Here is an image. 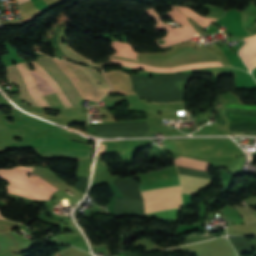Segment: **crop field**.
<instances>
[{"mask_svg":"<svg viewBox=\"0 0 256 256\" xmlns=\"http://www.w3.org/2000/svg\"><path fill=\"white\" fill-rule=\"evenodd\" d=\"M53 60L59 66V68L64 72V74L68 77V79L72 82V84L77 88L80 92L83 99H89L98 102L103 96L108 93L111 89L108 81L102 76L100 73L87 69L83 66H79L86 77L88 78L89 82L93 86L96 95L86 79L85 75L78 67V65L68 63L65 61ZM51 57H38L36 61L56 80V82L62 88L64 94L72 103V105H78L81 97L76 90V88L71 84V82L67 79V77L63 74V72L58 68V66L54 63ZM101 82L102 84L99 85L98 83Z\"/></svg>","mask_w":256,"mask_h":256,"instance_id":"crop-field-1","label":"crop field"},{"mask_svg":"<svg viewBox=\"0 0 256 256\" xmlns=\"http://www.w3.org/2000/svg\"><path fill=\"white\" fill-rule=\"evenodd\" d=\"M28 172H33V167H14L10 170H0V178L9 181V186L6 187L10 193L19 194L32 199L49 200L50 196L58 189L36 174L28 178L26 175ZM34 175L37 177H32Z\"/></svg>","mask_w":256,"mask_h":256,"instance_id":"crop-field-2","label":"crop field"},{"mask_svg":"<svg viewBox=\"0 0 256 256\" xmlns=\"http://www.w3.org/2000/svg\"><path fill=\"white\" fill-rule=\"evenodd\" d=\"M36 71H38L45 79L46 81L49 83V85L53 88V90L57 93V95L59 96V98L61 99V101L63 102V104L65 105V107L71 106V103L68 101V99L65 97V95L63 94L61 88L58 86V84L54 81V79L35 61L34 62H30ZM18 72L20 73L26 88L29 92V95L31 96V98L34 100V102L37 104V106H45V107H51L46 101L45 99L41 96L30 72L28 71V68L26 67V65L24 64V62L16 64L15 65ZM35 70H30L42 95H47V94H51L54 93V91L52 90V88L48 85V83L45 81V79Z\"/></svg>","mask_w":256,"mask_h":256,"instance_id":"crop-field-3","label":"crop field"},{"mask_svg":"<svg viewBox=\"0 0 256 256\" xmlns=\"http://www.w3.org/2000/svg\"><path fill=\"white\" fill-rule=\"evenodd\" d=\"M111 46L113 49H115L117 51L115 53V55L131 58V59H135V60L137 59V57H136L137 52H135L130 47L129 44L120 43V42H112ZM113 56L109 57L108 59L115 64H122V65L130 66V67H134V68L145 69V70H149V71L175 72V71H179V70H183V69H190V68L222 66L220 61H216V62H208V63L183 65V66H178V67H174V68H158V67H148V66L139 65L136 63H132V62H128V61H124V60L115 58Z\"/></svg>","mask_w":256,"mask_h":256,"instance_id":"crop-field-4","label":"crop field"},{"mask_svg":"<svg viewBox=\"0 0 256 256\" xmlns=\"http://www.w3.org/2000/svg\"><path fill=\"white\" fill-rule=\"evenodd\" d=\"M145 13L149 14L153 19L158 21L156 30L159 31V30L163 29V30L169 31L172 28L169 25L163 24L159 20V15L152 8L145 10ZM194 34H196V31L194 30V28L192 26H186V27H181V28H172L168 32L166 37L161 38V40H163V41L166 40V44L160 45L158 42L159 39H157L156 42H157L158 46H160V47L170 46L175 43L183 42V41L189 39Z\"/></svg>","mask_w":256,"mask_h":256,"instance_id":"crop-field-5","label":"crop field"},{"mask_svg":"<svg viewBox=\"0 0 256 256\" xmlns=\"http://www.w3.org/2000/svg\"><path fill=\"white\" fill-rule=\"evenodd\" d=\"M34 243L20 237L14 232L0 234V256H27L17 255L15 251H25L33 247Z\"/></svg>","mask_w":256,"mask_h":256,"instance_id":"crop-field-6","label":"crop field"},{"mask_svg":"<svg viewBox=\"0 0 256 256\" xmlns=\"http://www.w3.org/2000/svg\"><path fill=\"white\" fill-rule=\"evenodd\" d=\"M109 80L113 90L111 92L122 93L125 95L135 94L132 90V80L130 75L120 71H108L104 73Z\"/></svg>","mask_w":256,"mask_h":256,"instance_id":"crop-field-7","label":"crop field"},{"mask_svg":"<svg viewBox=\"0 0 256 256\" xmlns=\"http://www.w3.org/2000/svg\"><path fill=\"white\" fill-rule=\"evenodd\" d=\"M246 44L241 49L239 55L251 70L254 66H256V35L245 37Z\"/></svg>","mask_w":256,"mask_h":256,"instance_id":"crop-field-8","label":"crop field"},{"mask_svg":"<svg viewBox=\"0 0 256 256\" xmlns=\"http://www.w3.org/2000/svg\"><path fill=\"white\" fill-rule=\"evenodd\" d=\"M204 7L208 8L211 11V14H209L206 17H215V18H220L221 16H223L224 11L223 10H219L218 8L211 6V5H203ZM180 11L184 12L185 14H187L191 19L195 20L196 22H198L200 25H202L204 28L207 27L211 22L217 20L214 18H205L202 16H198L197 14H195L191 9L189 8H185V7H179Z\"/></svg>","mask_w":256,"mask_h":256,"instance_id":"crop-field-9","label":"crop field"},{"mask_svg":"<svg viewBox=\"0 0 256 256\" xmlns=\"http://www.w3.org/2000/svg\"><path fill=\"white\" fill-rule=\"evenodd\" d=\"M36 150L40 155L76 157V158H88V157H91V154H92V151H84V150H67V149H50V148H38Z\"/></svg>","mask_w":256,"mask_h":256,"instance_id":"crop-field-10","label":"crop field"},{"mask_svg":"<svg viewBox=\"0 0 256 256\" xmlns=\"http://www.w3.org/2000/svg\"><path fill=\"white\" fill-rule=\"evenodd\" d=\"M179 177L181 180V192L187 194H194L200 186H205L210 182L209 179L184 176L180 174Z\"/></svg>","mask_w":256,"mask_h":256,"instance_id":"crop-field-11","label":"crop field"},{"mask_svg":"<svg viewBox=\"0 0 256 256\" xmlns=\"http://www.w3.org/2000/svg\"><path fill=\"white\" fill-rule=\"evenodd\" d=\"M61 47V49L63 50V52L73 61L82 63V64H86L89 66H93V67H97L94 63H92L91 61L87 60L86 58H84L83 56L79 55L78 53H76L75 51L71 50V49H67L65 44H60L59 45ZM99 68V67H97Z\"/></svg>","mask_w":256,"mask_h":256,"instance_id":"crop-field-12","label":"crop field"},{"mask_svg":"<svg viewBox=\"0 0 256 256\" xmlns=\"http://www.w3.org/2000/svg\"><path fill=\"white\" fill-rule=\"evenodd\" d=\"M234 207L242 216L245 223H256V216L249 211L248 207H238L237 205Z\"/></svg>","mask_w":256,"mask_h":256,"instance_id":"crop-field-13","label":"crop field"},{"mask_svg":"<svg viewBox=\"0 0 256 256\" xmlns=\"http://www.w3.org/2000/svg\"><path fill=\"white\" fill-rule=\"evenodd\" d=\"M174 9L167 13V15L175 22L181 23L182 25L190 24L187 20V16L183 15L177 8L172 6Z\"/></svg>","mask_w":256,"mask_h":256,"instance_id":"crop-field-14","label":"crop field"},{"mask_svg":"<svg viewBox=\"0 0 256 256\" xmlns=\"http://www.w3.org/2000/svg\"><path fill=\"white\" fill-rule=\"evenodd\" d=\"M25 1H27V0H17L18 4L25 2Z\"/></svg>","mask_w":256,"mask_h":256,"instance_id":"crop-field-15","label":"crop field"},{"mask_svg":"<svg viewBox=\"0 0 256 256\" xmlns=\"http://www.w3.org/2000/svg\"><path fill=\"white\" fill-rule=\"evenodd\" d=\"M253 213L256 215V211H253Z\"/></svg>","mask_w":256,"mask_h":256,"instance_id":"crop-field-16","label":"crop field"}]
</instances>
